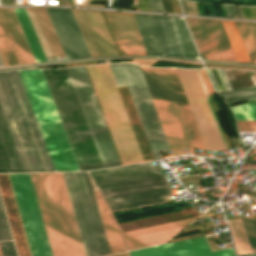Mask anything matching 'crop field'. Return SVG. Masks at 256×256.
Instances as JSON below:
<instances>
[{
  "instance_id": "17",
  "label": "crop field",
  "mask_w": 256,
  "mask_h": 256,
  "mask_svg": "<svg viewBox=\"0 0 256 256\" xmlns=\"http://www.w3.org/2000/svg\"><path fill=\"white\" fill-rule=\"evenodd\" d=\"M46 58L65 55L45 8L25 9Z\"/></svg>"
},
{
  "instance_id": "7",
  "label": "crop field",
  "mask_w": 256,
  "mask_h": 256,
  "mask_svg": "<svg viewBox=\"0 0 256 256\" xmlns=\"http://www.w3.org/2000/svg\"><path fill=\"white\" fill-rule=\"evenodd\" d=\"M32 256H52L29 174H8Z\"/></svg>"
},
{
  "instance_id": "3",
  "label": "crop field",
  "mask_w": 256,
  "mask_h": 256,
  "mask_svg": "<svg viewBox=\"0 0 256 256\" xmlns=\"http://www.w3.org/2000/svg\"><path fill=\"white\" fill-rule=\"evenodd\" d=\"M18 72L55 170H79L42 70Z\"/></svg>"
},
{
  "instance_id": "11",
  "label": "crop field",
  "mask_w": 256,
  "mask_h": 256,
  "mask_svg": "<svg viewBox=\"0 0 256 256\" xmlns=\"http://www.w3.org/2000/svg\"><path fill=\"white\" fill-rule=\"evenodd\" d=\"M206 150H225L195 70L176 69Z\"/></svg>"
},
{
  "instance_id": "38",
  "label": "crop field",
  "mask_w": 256,
  "mask_h": 256,
  "mask_svg": "<svg viewBox=\"0 0 256 256\" xmlns=\"http://www.w3.org/2000/svg\"><path fill=\"white\" fill-rule=\"evenodd\" d=\"M113 256H115V255H113Z\"/></svg>"
},
{
  "instance_id": "13",
  "label": "crop field",
  "mask_w": 256,
  "mask_h": 256,
  "mask_svg": "<svg viewBox=\"0 0 256 256\" xmlns=\"http://www.w3.org/2000/svg\"><path fill=\"white\" fill-rule=\"evenodd\" d=\"M7 51H14L19 64L35 62L14 10L0 8V56L5 66Z\"/></svg>"
},
{
  "instance_id": "14",
  "label": "crop field",
  "mask_w": 256,
  "mask_h": 256,
  "mask_svg": "<svg viewBox=\"0 0 256 256\" xmlns=\"http://www.w3.org/2000/svg\"><path fill=\"white\" fill-rule=\"evenodd\" d=\"M130 256H235L233 248L211 252L204 236L129 252Z\"/></svg>"
},
{
  "instance_id": "35",
  "label": "crop field",
  "mask_w": 256,
  "mask_h": 256,
  "mask_svg": "<svg viewBox=\"0 0 256 256\" xmlns=\"http://www.w3.org/2000/svg\"><path fill=\"white\" fill-rule=\"evenodd\" d=\"M239 131L256 132V121H236Z\"/></svg>"
},
{
  "instance_id": "31",
  "label": "crop field",
  "mask_w": 256,
  "mask_h": 256,
  "mask_svg": "<svg viewBox=\"0 0 256 256\" xmlns=\"http://www.w3.org/2000/svg\"><path fill=\"white\" fill-rule=\"evenodd\" d=\"M83 173H84L85 181H86V184H87L88 192H89V195H90L91 203H92V206H93V210H94V213H95L96 221H97V224H98L99 232H100V235H101L102 243H103V246H104L105 254L109 255V254H111L110 249H109L108 242H107V239H106V236H105V232H104L103 225H102V222H101V218H100V215H99V212H98V208H97V205H96L94 194H93V191H92V188H91L89 177H88L86 172H83Z\"/></svg>"
},
{
  "instance_id": "18",
  "label": "crop field",
  "mask_w": 256,
  "mask_h": 256,
  "mask_svg": "<svg viewBox=\"0 0 256 256\" xmlns=\"http://www.w3.org/2000/svg\"><path fill=\"white\" fill-rule=\"evenodd\" d=\"M164 57L184 58L171 17L149 15Z\"/></svg>"
},
{
  "instance_id": "8",
  "label": "crop field",
  "mask_w": 256,
  "mask_h": 256,
  "mask_svg": "<svg viewBox=\"0 0 256 256\" xmlns=\"http://www.w3.org/2000/svg\"><path fill=\"white\" fill-rule=\"evenodd\" d=\"M105 168L120 165L83 67L67 68Z\"/></svg>"
},
{
  "instance_id": "28",
  "label": "crop field",
  "mask_w": 256,
  "mask_h": 256,
  "mask_svg": "<svg viewBox=\"0 0 256 256\" xmlns=\"http://www.w3.org/2000/svg\"><path fill=\"white\" fill-rule=\"evenodd\" d=\"M238 61L250 62L233 22L221 21Z\"/></svg>"
},
{
  "instance_id": "19",
  "label": "crop field",
  "mask_w": 256,
  "mask_h": 256,
  "mask_svg": "<svg viewBox=\"0 0 256 256\" xmlns=\"http://www.w3.org/2000/svg\"><path fill=\"white\" fill-rule=\"evenodd\" d=\"M194 147L204 149L175 70L164 69ZM205 150V149H204Z\"/></svg>"
},
{
  "instance_id": "25",
  "label": "crop field",
  "mask_w": 256,
  "mask_h": 256,
  "mask_svg": "<svg viewBox=\"0 0 256 256\" xmlns=\"http://www.w3.org/2000/svg\"><path fill=\"white\" fill-rule=\"evenodd\" d=\"M36 62L46 61L24 9H14Z\"/></svg>"
},
{
  "instance_id": "6",
  "label": "crop field",
  "mask_w": 256,
  "mask_h": 256,
  "mask_svg": "<svg viewBox=\"0 0 256 256\" xmlns=\"http://www.w3.org/2000/svg\"><path fill=\"white\" fill-rule=\"evenodd\" d=\"M173 156L191 148L189 136L163 69L140 67Z\"/></svg>"
},
{
  "instance_id": "16",
  "label": "crop field",
  "mask_w": 256,
  "mask_h": 256,
  "mask_svg": "<svg viewBox=\"0 0 256 256\" xmlns=\"http://www.w3.org/2000/svg\"><path fill=\"white\" fill-rule=\"evenodd\" d=\"M96 186L162 176L150 162L89 172Z\"/></svg>"
},
{
  "instance_id": "29",
  "label": "crop field",
  "mask_w": 256,
  "mask_h": 256,
  "mask_svg": "<svg viewBox=\"0 0 256 256\" xmlns=\"http://www.w3.org/2000/svg\"><path fill=\"white\" fill-rule=\"evenodd\" d=\"M228 103L247 99L248 102H256V87H246L218 93Z\"/></svg>"
},
{
  "instance_id": "5",
  "label": "crop field",
  "mask_w": 256,
  "mask_h": 256,
  "mask_svg": "<svg viewBox=\"0 0 256 256\" xmlns=\"http://www.w3.org/2000/svg\"><path fill=\"white\" fill-rule=\"evenodd\" d=\"M0 82L33 171H55L18 72L0 73Z\"/></svg>"
},
{
  "instance_id": "26",
  "label": "crop field",
  "mask_w": 256,
  "mask_h": 256,
  "mask_svg": "<svg viewBox=\"0 0 256 256\" xmlns=\"http://www.w3.org/2000/svg\"><path fill=\"white\" fill-rule=\"evenodd\" d=\"M251 62H256V24L234 22Z\"/></svg>"
},
{
  "instance_id": "32",
  "label": "crop field",
  "mask_w": 256,
  "mask_h": 256,
  "mask_svg": "<svg viewBox=\"0 0 256 256\" xmlns=\"http://www.w3.org/2000/svg\"><path fill=\"white\" fill-rule=\"evenodd\" d=\"M235 120H256V103H246L230 107Z\"/></svg>"
},
{
  "instance_id": "12",
  "label": "crop field",
  "mask_w": 256,
  "mask_h": 256,
  "mask_svg": "<svg viewBox=\"0 0 256 256\" xmlns=\"http://www.w3.org/2000/svg\"><path fill=\"white\" fill-rule=\"evenodd\" d=\"M186 22L202 56L237 61L220 21L186 18Z\"/></svg>"
},
{
  "instance_id": "9",
  "label": "crop field",
  "mask_w": 256,
  "mask_h": 256,
  "mask_svg": "<svg viewBox=\"0 0 256 256\" xmlns=\"http://www.w3.org/2000/svg\"><path fill=\"white\" fill-rule=\"evenodd\" d=\"M62 174L86 256L105 255L83 173Z\"/></svg>"
},
{
  "instance_id": "20",
  "label": "crop field",
  "mask_w": 256,
  "mask_h": 256,
  "mask_svg": "<svg viewBox=\"0 0 256 256\" xmlns=\"http://www.w3.org/2000/svg\"><path fill=\"white\" fill-rule=\"evenodd\" d=\"M103 56L118 55L100 12L84 10Z\"/></svg>"
},
{
  "instance_id": "36",
  "label": "crop field",
  "mask_w": 256,
  "mask_h": 256,
  "mask_svg": "<svg viewBox=\"0 0 256 256\" xmlns=\"http://www.w3.org/2000/svg\"><path fill=\"white\" fill-rule=\"evenodd\" d=\"M116 256H128V255H127V252H125V253L117 254Z\"/></svg>"
},
{
  "instance_id": "37",
  "label": "crop field",
  "mask_w": 256,
  "mask_h": 256,
  "mask_svg": "<svg viewBox=\"0 0 256 256\" xmlns=\"http://www.w3.org/2000/svg\"><path fill=\"white\" fill-rule=\"evenodd\" d=\"M0 256H2V254H1V250H0Z\"/></svg>"
},
{
  "instance_id": "27",
  "label": "crop field",
  "mask_w": 256,
  "mask_h": 256,
  "mask_svg": "<svg viewBox=\"0 0 256 256\" xmlns=\"http://www.w3.org/2000/svg\"><path fill=\"white\" fill-rule=\"evenodd\" d=\"M92 57L102 56L83 10L72 9Z\"/></svg>"
},
{
  "instance_id": "1",
  "label": "crop field",
  "mask_w": 256,
  "mask_h": 256,
  "mask_svg": "<svg viewBox=\"0 0 256 256\" xmlns=\"http://www.w3.org/2000/svg\"><path fill=\"white\" fill-rule=\"evenodd\" d=\"M30 175L53 256H85L62 174Z\"/></svg>"
},
{
  "instance_id": "33",
  "label": "crop field",
  "mask_w": 256,
  "mask_h": 256,
  "mask_svg": "<svg viewBox=\"0 0 256 256\" xmlns=\"http://www.w3.org/2000/svg\"><path fill=\"white\" fill-rule=\"evenodd\" d=\"M11 240L4 212L0 202V241Z\"/></svg>"
},
{
  "instance_id": "34",
  "label": "crop field",
  "mask_w": 256,
  "mask_h": 256,
  "mask_svg": "<svg viewBox=\"0 0 256 256\" xmlns=\"http://www.w3.org/2000/svg\"><path fill=\"white\" fill-rule=\"evenodd\" d=\"M3 256H16L12 241L0 242Z\"/></svg>"
},
{
  "instance_id": "23",
  "label": "crop field",
  "mask_w": 256,
  "mask_h": 256,
  "mask_svg": "<svg viewBox=\"0 0 256 256\" xmlns=\"http://www.w3.org/2000/svg\"><path fill=\"white\" fill-rule=\"evenodd\" d=\"M146 55L161 56L148 15L134 14Z\"/></svg>"
},
{
  "instance_id": "21",
  "label": "crop field",
  "mask_w": 256,
  "mask_h": 256,
  "mask_svg": "<svg viewBox=\"0 0 256 256\" xmlns=\"http://www.w3.org/2000/svg\"><path fill=\"white\" fill-rule=\"evenodd\" d=\"M101 213L102 221L108 238L111 253H119L126 251L120 231L109 212L106 204L98 205Z\"/></svg>"
},
{
  "instance_id": "22",
  "label": "crop field",
  "mask_w": 256,
  "mask_h": 256,
  "mask_svg": "<svg viewBox=\"0 0 256 256\" xmlns=\"http://www.w3.org/2000/svg\"><path fill=\"white\" fill-rule=\"evenodd\" d=\"M186 227V226H185ZM184 227L124 239L128 250L165 243Z\"/></svg>"
},
{
  "instance_id": "4",
  "label": "crop field",
  "mask_w": 256,
  "mask_h": 256,
  "mask_svg": "<svg viewBox=\"0 0 256 256\" xmlns=\"http://www.w3.org/2000/svg\"><path fill=\"white\" fill-rule=\"evenodd\" d=\"M123 165L144 161L107 65L86 67Z\"/></svg>"
},
{
  "instance_id": "30",
  "label": "crop field",
  "mask_w": 256,
  "mask_h": 256,
  "mask_svg": "<svg viewBox=\"0 0 256 256\" xmlns=\"http://www.w3.org/2000/svg\"><path fill=\"white\" fill-rule=\"evenodd\" d=\"M197 218H192V219L182 220V221H178V222H173V223H168V224H163V225L143 228V229H139V230L124 232L122 234H123V237L126 238V237H131V236L151 233V232H155V231H160V230H165V229L185 226V225L190 224L191 222H193Z\"/></svg>"
},
{
  "instance_id": "39",
  "label": "crop field",
  "mask_w": 256,
  "mask_h": 256,
  "mask_svg": "<svg viewBox=\"0 0 256 256\" xmlns=\"http://www.w3.org/2000/svg\"><path fill=\"white\" fill-rule=\"evenodd\" d=\"M256 147V146H255Z\"/></svg>"
},
{
  "instance_id": "10",
  "label": "crop field",
  "mask_w": 256,
  "mask_h": 256,
  "mask_svg": "<svg viewBox=\"0 0 256 256\" xmlns=\"http://www.w3.org/2000/svg\"><path fill=\"white\" fill-rule=\"evenodd\" d=\"M110 210L164 202L172 194L164 177L98 187Z\"/></svg>"
},
{
  "instance_id": "24",
  "label": "crop field",
  "mask_w": 256,
  "mask_h": 256,
  "mask_svg": "<svg viewBox=\"0 0 256 256\" xmlns=\"http://www.w3.org/2000/svg\"><path fill=\"white\" fill-rule=\"evenodd\" d=\"M0 104L2 107V110L4 112L5 118L7 120L8 126L10 128L11 134L13 136L14 142L16 144L17 150L19 152L20 158L22 160L23 166L25 168L26 172H33L32 168L30 166L29 160L27 158L26 152L24 150L22 141L20 139L19 133L17 131L16 125L14 123L12 114L10 112L9 106L7 104L5 95L3 93L2 87L0 85Z\"/></svg>"
},
{
  "instance_id": "2",
  "label": "crop field",
  "mask_w": 256,
  "mask_h": 256,
  "mask_svg": "<svg viewBox=\"0 0 256 256\" xmlns=\"http://www.w3.org/2000/svg\"><path fill=\"white\" fill-rule=\"evenodd\" d=\"M42 70L79 169L104 168L67 69Z\"/></svg>"
},
{
  "instance_id": "15",
  "label": "crop field",
  "mask_w": 256,
  "mask_h": 256,
  "mask_svg": "<svg viewBox=\"0 0 256 256\" xmlns=\"http://www.w3.org/2000/svg\"><path fill=\"white\" fill-rule=\"evenodd\" d=\"M122 55H145L133 14L104 12Z\"/></svg>"
}]
</instances>
